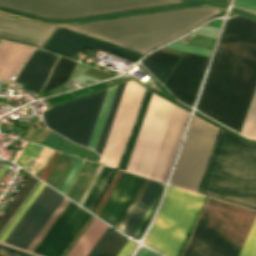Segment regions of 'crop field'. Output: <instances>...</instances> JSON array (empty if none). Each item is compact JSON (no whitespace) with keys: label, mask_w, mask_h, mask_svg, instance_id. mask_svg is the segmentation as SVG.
I'll list each match as a JSON object with an SVG mask.
<instances>
[{"label":"crop field","mask_w":256,"mask_h":256,"mask_svg":"<svg viewBox=\"0 0 256 256\" xmlns=\"http://www.w3.org/2000/svg\"><path fill=\"white\" fill-rule=\"evenodd\" d=\"M218 12L201 7L71 26H46L0 14V37L42 47L56 27H65L145 54Z\"/></svg>","instance_id":"crop-field-1"},{"label":"crop field","mask_w":256,"mask_h":256,"mask_svg":"<svg viewBox=\"0 0 256 256\" xmlns=\"http://www.w3.org/2000/svg\"><path fill=\"white\" fill-rule=\"evenodd\" d=\"M255 82L256 21L236 16L227 21L197 108L239 131Z\"/></svg>","instance_id":"crop-field-2"},{"label":"crop field","mask_w":256,"mask_h":256,"mask_svg":"<svg viewBox=\"0 0 256 256\" xmlns=\"http://www.w3.org/2000/svg\"><path fill=\"white\" fill-rule=\"evenodd\" d=\"M200 193L256 210V146L221 131Z\"/></svg>","instance_id":"crop-field-3"},{"label":"crop field","mask_w":256,"mask_h":256,"mask_svg":"<svg viewBox=\"0 0 256 256\" xmlns=\"http://www.w3.org/2000/svg\"><path fill=\"white\" fill-rule=\"evenodd\" d=\"M256 212L209 199L182 256H237Z\"/></svg>","instance_id":"crop-field-4"},{"label":"crop field","mask_w":256,"mask_h":256,"mask_svg":"<svg viewBox=\"0 0 256 256\" xmlns=\"http://www.w3.org/2000/svg\"><path fill=\"white\" fill-rule=\"evenodd\" d=\"M205 198L170 187L144 244L168 256H178Z\"/></svg>","instance_id":"crop-field-5"},{"label":"crop field","mask_w":256,"mask_h":256,"mask_svg":"<svg viewBox=\"0 0 256 256\" xmlns=\"http://www.w3.org/2000/svg\"><path fill=\"white\" fill-rule=\"evenodd\" d=\"M184 2L182 0H0V5L49 18H73Z\"/></svg>","instance_id":"crop-field-6"},{"label":"crop field","mask_w":256,"mask_h":256,"mask_svg":"<svg viewBox=\"0 0 256 256\" xmlns=\"http://www.w3.org/2000/svg\"><path fill=\"white\" fill-rule=\"evenodd\" d=\"M219 128L193 117L172 184L197 191Z\"/></svg>","instance_id":"crop-field-7"},{"label":"crop field","mask_w":256,"mask_h":256,"mask_svg":"<svg viewBox=\"0 0 256 256\" xmlns=\"http://www.w3.org/2000/svg\"><path fill=\"white\" fill-rule=\"evenodd\" d=\"M134 81V80H133ZM126 83L102 156L108 165L119 167L145 88Z\"/></svg>","instance_id":"crop-field-8"},{"label":"crop field","mask_w":256,"mask_h":256,"mask_svg":"<svg viewBox=\"0 0 256 256\" xmlns=\"http://www.w3.org/2000/svg\"><path fill=\"white\" fill-rule=\"evenodd\" d=\"M100 92L46 110L43 113L45 123L67 138L83 144Z\"/></svg>","instance_id":"crop-field-9"},{"label":"crop field","mask_w":256,"mask_h":256,"mask_svg":"<svg viewBox=\"0 0 256 256\" xmlns=\"http://www.w3.org/2000/svg\"><path fill=\"white\" fill-rule=\"evenodd\" d=\"M63 198L45 185L5 242L27 249Z\"/></svg>","instance_id":"crop-field-10"},{"label":"crop field","mask_w":256,"mask_h":256,"mask_svg":"<svg viewBox=\"0 0 256 256\" xmlns=\"http://www.w3.org/2000/svg\"><path fill=\"white\" fill-rule=\"evenodd\" d=\"M208 58L184 53L164 86L180 101L192 105Z\"/></svg>","instance_id":"crop-field-11"},{"label":"crop field","mask_w":256,"mask_h":256,"mask_svg":"<svg viewBox=\"0 0 256 256\" xmlns=\"http://www.w3.org/2000/svg\"><path fill=\"white\" fill-rule=\"evenodd\" d=\"M174 104L159 98L134 173L149 176Z\"/></svg>","instance_id":"crop-field-12"},{"label":"crop field","mask_w":256,"mask_h":256,"mask_svg":"<svg viewBox=\"0 0 256 256\" xmlns=\"http://www.w3.org/2000/svg\"><path fill=\"white\" fill-rule=\"evenodd\" d=\"M87 47L91 49H101L114 52L130 60H136L141 55L102 43L100 41L64 30H58L45 48L73 57L77 51L82 52Z\"/></svg>","instance_id":"crop-field-13"},{"label":"crop field","mask_w":256,"mask_h":256,"mask_svg":"<svg viewBox=\"0 0 256 256\" xmlns=\"http://www.w3.org/2000/svg\"><path fill=\"white\" fill-rule=\"evenodd\" d=\"M143 177L123 172L99 217L117 227Z\"/></svg>","instance_id":"crop-field-14"},{"label":"crop field","mask_w":256,"mask_h":256,"mask_svg":"<svg viewBox=\"0 0 256 256\" xmlns=\"http://www.w3.org/2000/svg\"><path fill=\"white\" fill-rule=\"evenodd\" d=\"M57 55L36 49L20 71L15 83H25L24 89L40 91Z\"/></svg>","instance_id":"crop-field-15"},{"label":"crop field","mask_w":256,"mask_h":256,"mask_svg":"<svg viewBox=\"0 0 256 256\" xmlns=\"http://www.w3.org/2000/svg\"><path fill=\"white\" fill-rule=\"evenodd\" d=\"M35 48L2 40L0 43V78L15 81Z\"/></svg>","instance_id":"crop-field-16"},{"label":"crop field","mask_w":256,"mask_h":256,"mask_svg":"<svg viewBox=\"0 0 256 256\" xmlns=\"http://www.w3.org/2000/svg\"><path fill=\"white\" fill-rule=\"evenodd\" d=\"M185 110L174 106L168 126L166 128L163 140L161 142L158 154L156 156L153 168L150 173V178L161 180L168 157L170 155L175 137L177 135L181 120Z\"/></svg>","instance_id":"crop-field-17"},{"label":"crop field","mask_w":256,"mask_h":256,"mask_svg":"<svg viewBox=\"0 0 256 256\" xmlns=\"http://www.w3.org/2000/svg\"><path fill=\"white\" fill-rule=\"evenodd\" d=\"M89 214L90 213L77 206L46 249L43 251L42 255L59 256Z\"/></svg>","instance_id":"crop-field-18"},{"label":"crop field","mask_w":256,"mask_h":256,"mask_svg":"<svg viewBox=\"0 0 256 256\" xmlns=\"http://www.w3.org/2000/svg\"><path fill=\"white\" fill-rule=\"evenodd\" d=\"M107 226L94 218L66 256H86Z\"/></svg>","instance_id":"crop-field-19"},{"label":"crop field","mask_w":256,"mask_h":256,"mask_svg":"<svg viewBox=\"0 0 256 256\" xmlns=\"http://www.w3.org/2000/svg\"><path fill=\"white\" fill-rule=\"evenodd\" d=\"M159 185L160 182L150 180L145 192L143 193L138 205L136 206L131 218L129 219L123 231L124 233L132 236L135 228L137 227L140 219L142 218Z\"/></svg>","instance_id":"crop-field-20"},{"label":"crop field","mask_w":256,"mask_h":256,"mask_svg":"<svg viewBox=\"0 0 256 256\" xmlns=\"http://www.w3.org/2000/svg\"><path fill=\"white\" fill-rule=\"evenodd\" d=\"M158 98H159V96H157L155 94H152L149 106L147 108V111H146L141 129H140V132L138 134V137H137V140H136V143H135L132 155H131V158L129 160V163H128V166H127V169H126L127 171H131V172L133 171L134 165L136 163L139 151L141 149V146H142L145 134L147 132L150 120L152 118L155 106L157 104Z\"/></svg>","instance_id":"crop-field-21"},{"label":"crop field","mask_w":256,"mask_h":256,"mask_svg":"<svg viewBox=\"0 0 256 256\" xmlns=\"http://www.w3.org/2000/svg\"><path fill=\"white\" fill-rule=\"evenodd\" d=\"M125 83L119 84L117 86V89H116V92H115V95H114V98H113L108 116L106 118L103 130H102V133H101L98 145H97L96 151L99 152L100 154H102V151H103V148H104V145H105V142H106V139H107V136H108L113 118L115 116V113H116V110H117V107H118V104H119V101H120Z\"/></svg>","instance_id":"crop-field-22"},{"label":"crop field","mask_w":256,"mask_h":256,"mask_svg":"<svg viewBox=\"0 0 256 256\" xmlns=\"http://www.w3.org/2000/svg\"><path fill=\"white\" fill-rule=\"evenodd\" d=\"M76 206L77 205L70 201L64 211L61 213V215L58 217V219L55 221V223L37 245V247L34 249V252H37L39 254L42 253V251L45 249V247L48 245V243L51 241V239L54 237V235L57 233V231L60 229V227L63 225V223L66 221V219L69 217V215L72 213Z\"/></svg>","instance_id":"crop-field-23"},{"label":"crop field","mask_w":256,"mask_h":256,"mask_svg":"<svg viewBox=\"0 0 256 256\" xmlns=\"http://www.w3.org/2000/svg\"><path fill=\"white\" fill-rule=\"evenodd\" d=\"M116 86L111 87L107 90V93H106V96H105V99H104L99 117L97 119L94 131H93V134H92L89 146H88L89 148H93V149L96 148V145H97V142H98V139H99V136H100V133H101L106 115L108 113V110H109V107H110V104H111Z\"/></svg>","instance_id":"crop-field-24"},{"label":"crop field","mask_w":256,"mask_h":256,"mask_svg":"<svg viewBox=\"0 0 256 256\" xmlns=\"http://www.w3.org/2000/svg\"><path fill=\"white\" fill-rule=\"evenodd\" d=\"M37 182V179L30 176L29 180L24 184L20 192L17 194V196L12 200L9 207L3 212V214L0 216V231L4 227V225L7 223V221L10 219L12 214L15 212V210L18 208V206L21 204L23 199L26 197V195L29 193L31 188L34 186V184Z\"/></svg>","instance_id":"crop-field-25"},{"label":"crop field","mask_w":256,"mask_h":256,"mask_svg":"<svg viewBox=\"0 0 256 256\" xmlns=\"http://www.w3.org/2000/svg\"><path fill=\"white\" fill-rule=\"evenodd\" d=\"M63 138L64 137H62V136H60V135H58V134H56V133L51 131L50 134L47 136V138L44 140L43 144H46V145H49V146H52V147L56 148V146L61 142V140ZM61 144L68 145V146H71V147H74V148H77V149H80V150H83V151H87V152L96 154L94 151H90L88 149L80 147V146L70 142L67 139L66 140L63 139ZM60 145H58L57 149H60V150H63V151L69 152V153L81 155V156H84V157H88V158H90L92 160L95 157L94 155H90V154H87V153H84V152H80V151H77V150H74V149H70V148H67V147H64V146H60Z\"/></svg>","instance_id":"crop-field-26"},{"label":"crop field","mask_w":256,"mask_h":256,"mask_svg":"<svg viewBox=\"0 0 256 256\" xmlns=\"http://www.w3.org/2000/svg\"><path fill=\"white\" fill-rule=\"evenodd\" d=\"M75 61H72L67 58H61L46 90L48 91L49 89L55 87L56 85L66 81L75 65Z\"/></svg>","instance_id":"crop-field-27"},{"label":"crop field","mask_w":256,"mask_h":256,"mask_svg":"<svg viewBox=\"0 0 256 256\" xmlns=\"http://www.w3.org/2000/svg\"><path fill=\"white\" fill-rule=\"evenodd\" d=\"M151 94H152V92L147 91V94H146V97H145V99H144V102H143L141 111H140V113H139V116H138V119H137L135 128H134V130H133V133H132V136H131L129 145H128V147H127V150H126L124 159H123L122 164H121V167H120V168L123 169V170L126 169V166H127L129 157H130V155H131V152H132V149H133V146H134V143H135V140H136L138 131H139V129H140V126H141V123H142V120H143V117H144V114H145L147 105H148V103H149Z\"/></svg>","instance_id":"crop-field-28"},{"label":"crop field","mask_w":256,"mask_h":256,"mask_svg":"<svg viewBox=\"0 0 256 256\" xmlns=\"http://www.w3.org/2000/svg\"><path fill=\"white\" fill-rule=\"evenodd\" d=\"M127 240V238L115 231L97 256H116Z\"/></svg>","instance_id":"crop-field-29"},{"label":"crop field","mask_w":256,"mask_h":256,"mask_svg":"<svg viewBox=\"0 0 256 256\" xmlns=\"http://www.w3.org/2000/svg\"><path fill=\"white\" fill-rule=\"evenodd\" d=\"M69 203V200L65 199L61 202V204L58 206L56 211L53 213V215L50 217V219L47 221L45 226L42 228V230L39 232L37 237L34 239V241L31 243V245L28 247V250L33 251V249L36 247V245L39 243V241L42 239V237L45 235V233L48 231V229L51 227V225L54 223V221L57 219V217L60 215V213L63 211V209L66 207V205Z\"/></svg>","instance_id":"crop-field-30"},{"label":"crop field","mask_w":256,"mask_h":256,"mask_svg":"<svg viewBox=\"0 0 256 256\" xmlns=\"http://www.w3.org/2000/svg\"><path fill=\"white\" fill-rule=\"evenodd\" d=\"M255 120H256V90L252 98L249 110L247 112V115L240 133L247 137H250Z\"/></svg>","instance_id":"crop-field-31"},{"label":"crop field","mask_w":256,"mask_h":256,"mask_svg":"<svg viewBox=\"0 0 256 256\" xmlns=\"http://www.w3.org/2000/svg\"><path fill=\"white\" fill-rule=\"evenodd\" d=\"M188 115H189V113L185 112L184 118L182 120V123H181L180 129H179L178 135L176 137V140H175V143H174L171 155L169 157V160H168V163H167V166H166V169H165V172L163 174V177H162L161 181H165V182L167 181V178H168V175H169V172H170L173 160L175 158L177 149L179 147V144H180V141H181V138H182V134H183L186 122H187Z\"/></svg>","instance_id":"crop-field-32"},{"label":"crop field","mask_w":256,"mask_h":256,"mask_svg":"<svg viewBox=\"0 0 256 256\" xmlns=\"http://www.w3.org/2000/svg\"><path fill=\"white\" fill-rule=\"evenodd\" d=\"M144 179H146V178H144ZM148 182H149V179L143 180L141 186L139 187L137 193L135 194V196H134L132 202L130 203V205H129L127 211L125 212L123 218L121 219V221H120V223H119V225H118V227H117V228H119L120 230L123 231V229H124V227H125V225H126L128 219L130 218V216H131V214H132V212H133L135 206L137 205V203H138V201H139V199H140L142 193L144 192V190H145V188H146Z\"/></svg>","instance_id":"crop-field-33"},{"label":"crop field","mask_w":256,"mask_h":256,"mask_svg":"<svg viewBox=\"0 0 256 256\" xmlns=\"http://www.w3.org/2000/svg\"><path fill=\"white\" fill-rule=\"evenodd\" d=\"M161 187H162V185H160V187H159L157 193L155 194V196H154L152 202L150 203V205H149L147 211L145 212L143 218L141 219V221H140L138 227L136 228V230H135V232H134V234H133V237H135V238H140V236H141V234H142V232H143V230H144V228H145V226H146V224H147V222H148V220H149V218H150V216H151V214H152V212H153V210H154V207H155V205H156V203H157V200H158V198H159V195H160V193H161V191H162ZM155 208H156V207H155ZM153 213H154V212H153ZM152 215H153V214H152ZM151 217H152V216H151ZM150 219H151V218H150ZM149 221H150V220H149ZM148 223H149V222H148ZM147 225H148V224H147ZM146 227H147V226H146Z\"/></svg>","instance_id":"crop-field-34"},{"label":"crop field","mask_w":256,"mask_h":256,"mask_svg":"<svg viewBox=\"0 0 256 256\" xmlns=\"http://www.w3.org/2000/svg\"><path fill=\"white\" fill-rule=\"evenodd\" d=\"M239 256H256V220Z\"/></svg>","instance_id":"crop-field-35"},{"label":"crop field","mask_w":256,"mask_h":256,"mask_svg":"<svg viewBox=\"0 0 256 256\" xmlns=\"http://www.w3.org/2000/svg\"><path fill=\"white\" fill-rule=\"evenodd\" d=\"M179 58H180L179 56L156 51L151 55H149L147 58H145V60H149V61L174 67Z\"/></svg>","instance_id":"crop-field-36"},{"label":"crop field","mask_w":256,"mask_h":256,"mask_svg":"<svg viewBox=\"0 0 256 256\" xmlns=\"http://www.w3.org/2000/svg\"><path fill=\"white\" fill-rule=\"evenodd\" d=\"M144 66L152 73L154 74L161 83L164 81V79L167 77L168 73L173 69L172 67L148 62V61H142Z\"/></svg>","instance_id":"crop-field-37"},{"label":"crop field","mask_w":256,"mask_h":256,"mask_svg":"<svg viewBox=\"0 0 256 256\" xmlns=\"http://www.w3.org/2000/svg\"><path fill=\"white\" fill-rule=\"evenodd\" d=\"M42 182L38 180V182L35 184V186L32 188L30 193L27 195V197L24 199L22 204L19 206V208L16 210V212L13 214L11 219L8 221V223L5 225L3 230L0 232V238L3 236V234L6 232V230L9 228V226L12 224V222L15 220V218L18 216L20 211L23 209V207L26 205V203L29 201V199L32 197V195L35 193V191L38 189Z\"/></svg>","instance_id":"crop-field-38"},{"label":"crop field","mask_w":256,"mask_h":256,"mask_svg":"<svg viewBox=\"0 0 256 256\" xmlns=\"http://www.w3.org/2000/svg\"><path fill=\"white\" fill-rule=\"evenodd\" d=\"M114 231L115 230H113L108 226V228L99 238V240L97 241V243L94 245V247L91 249V251L87 256H96L99 253V251L102 249V247L105 245V243L108 241V239L111 237V235L114 233Z\"/></svg>","instance_id":"crop-field-39"},{"label":"crop field","mask_w":256,"mask_h":256,"mask_svg":"<svg viewBox=\"0 0 256 256\" xmlns=\"http://www.w3.org/2000/svg\"><path fill=\"white\" fill-rule=\"evenodd\" d=\"M108 170H109V167L104 166V168H103L102 172L100 173L98 179L96 180L94 186L92 187V189H91V191L89 192L87 198L85 199V201H84V203H83V206H85V207L88 208V206H89L91 200L93 199L95 193L97 192V190H98L100 184L102 183L104 177L106 176ZM87 208H86V209H87Z\"/></svg>","instance_id":"crop-field-40"},{"label":"crop field","mask_w":256,"mask_h":256,"mask_svg":"<svg viewBox=\"0 0 256 256\" xmlns=\"http://www.w3.org/2000/svg\"><path fill=\"white\" fill-rule=\"evenodd\" d=\"M106 90H107V89H106ZM106 90H103V91L101 92V95H100L98 104H97V106H96V109H95V112H94V115H93V118H92V121H91L89 130H88V132H87V135H86V138H85V141H84V144H83V145L86 146V147L88 146V143H89V140H90V137H91V134H92V131H93V128H94L96 119H97V117H98V114H99V111H100V108H101V105H102V102H103V99H104Z\"/></svg>","instance_id":"crop-field-41"},{"label":"crop field","mask_w":256,"mask_h":256,"mask_svg":"<svg viewBox=\"0 0 256 256\" xmlns=\"http://www.w3.org/2000/svg\"><path fill=\"white\" fill-rule=\"evenodd\" d=\"M114 171H115V169L110 168V170H109L107 176L105 177V179H104L103 183L101 184V186H100L98 192L96 193L94 199L92 200V202H91V204H90V206H89V208H88V209L91 210L92 212H93V210H94V208H95L97 202L99 201V199H100V197H101L103 191L105 190V188H106V186H107L109 180L111 179V177H112Z\"/></svg>","instance_id":"crop-field-42"},{"label":"crop field","mask_w":256,"mask_h":256,"mask_svg":"<svg viewBox=\"0 0 256 256\" xmlns=\"http://www.w3.org/2000/svg\"><path fill=\"white\" fill-rule=\"evenodd\" d=\"M51 130H48V129H46V130H44L43 132H41V131H39V130H37V129H34V128H29L28 129V131H27V133H26V135H25V137L26 138H30V139H32V140H35V141H38V142H42L43 141V139L48 135V133L50 132ZM26 138H24V139H26ZM30 139H26V140H30ZM32 140H30V141H32Z\"/></svg>","instance_id":"crop-field-43"},{"label":"crop field","mask_w":256,"mask_h":256,"mask_svg":"<svg viewBox=\"0 0 256 256\" xmlns=\"http://www.w3.org/2000/svg\"><path fill=\"white\" fill-rule=\"evenodd\" d=\"M38 148V145H34V144H29V146L27 147L24 155L22 156L20 163L24 164L23 167H25L27 169L30 161L32 160V157L34 155V153L36 152Z\"/></svg>","instance_id":"crop-field-44"},{"label":"crop field","mask_w":256,"mask_h":256,"mask_svg":"<svg viewBox=\"0 0 256 256\" xmlns=\"http://www.w3.org/2000/svg\"><path fill=\"white\" fill-rule=\"evenodd\" d=\"M167 47L168 48L179 49V50L190 51V52L199 53V54L208 55V56L210 55V52H211L209 50L195 48V47L186 46V45H181V44H177V43H173V44H171Z\"/></svg>","instance_id":"crop-field-45"},{"label":"crop field","mask_w":256,"mask_h":256,"mask_svg":"<svg viewBox=\"0 0 256 256\" xmlns=\"http://www.w3.org/2000/svg\"><path fill=\"white\" fill-rule=\"evenodd\" d=\"M41 185V184H40ZM45 184L42 183V185L39 187V189L36 191V193L33 195V197L30 199V201L27 203V205L24 207L22 212L19 214V216L16 218V220L13 222V224L10 226V228L7 230V232L4 234V236L1 238L2 241L7 237V235L10 233V231L13 229V227L16 225L18 220L21 218V216L24 214V212L27 210V208L30 206L32 201L35 199V197L38 195V193L41 191V189L44 187ZM37 198V197H36ZM34 202V201H33ZM20 221V220H19Z\"/></svg>","instance_id":"crop-field-46"},{"label":"crop field","mask_w":256,"mask_h":256,"mask_svg":"<svg viewBox=\"0 0 256 256\" xmlns=\"http://www.w3.org/2000/svg\"><path fill=\"white\" fill-rule=\"evenodd\" d=\"M0 256H32L0 244Z\"/></svg>","instance_id":"crop-field-47"},{"label":"crop field","mask_w":256,"mask_h":256,"mask_svg":"<svg viewBox=\"0 0 256 256\" xmlns=\"http://www.w3.org/2000/svg\"><path fill=\"white\" fill-rule=\"evenodd\" d=\"M82 161H83V159L78 158V160H77V162H76V164H75V166H74V168H73L71 174L69 175V177H68V179H67V181H66V183H65V185H64V187H63V189L61 188L62 191H61V190H60V191L63 192L64 194H65V192H66L68 186L70 185V183H71L73 177L75 176V174H76L78 168L80 167Z\"/></svg>","instance_id":"crop-field-48"},{"label":"crop field","mask_w":256,"mask_h":256,"mask_svg":"<svg viewBox=\"0 0 256 256\" xmlns=\"http://www.w3.org/2000/svg\"><path fill=\"white\" fill-rule=\"evenodd\" d=\"M235 4L245 9L256 11V0H236Z\"/></svg>","instance_id":"crop-field-49"},{"label":"crop field","mask_w":256,"mask_h":256,"mask_svg":"<svg viewBox=\"0 0 256 256\" xmlns=\"http://www.w3.org/2000/svg\"><path fill=\"white\" fill-rule=\"evenodd\" d=\"M135 244L128 240L122 250L117 256H129L134 248Z\"/></svg>","instance_id":"crop-field-50"},{"label":"crop field","mask_w":256,"mask_h":256,"mask_svg":"<svg viewBox=\"0 0 256 256\" xmlns=\"http://www.w3.org/2000/svg\"><path fill=\"white\" fill-rule=\"evenodd\" d=\"M136 256H159L143 247H141L138 251V253L136 254Z\"/></svg>","instance_id":"crop-field-51"},{"label":"crop field","mask_w":256,"mask_h":256,"mask_svg":"<svg viewBox=\"0 0 256 256\" xmlns=\"http://www.w3.org/2000/svg\"><path fill=\"white\" fill-rule=\"evenodd\" d=\"M81 169H79V171H78V173H77V175L75 176V178H74V180H73V182L71 183V185H70V187L68 188V190H67V192H66V195L68 196V194H69V192H70V190H71V188H72V186L74 185V183H75V181H76V179H77V177L79 176V174L81 173Z\"/></svg>","instance_id":"crop-field-52"},{"label":"crop field","mask_w":256,"mask_h":256,"mask_svg":"<svg viewBox=\"0 0 256 256\" xmlns=\"http://www.w3.org/2000/svg\"><path fill=\"white\" fill-rule=\"evenodd\" d=\"M8 166H9V164L4 163L3 167L0 170V178L2 177V175L4 174V172L6 171Z\"/></svg>","instance_id":"crop-field-53"},{"label":"crop field","mask_w":256,"mask_h":256,"mask_svg":"<svg viewBox=\"0 0 256 256\" xmlns=\"http://www.w3.org/2000/svg\"><path fill=\"white\" fill-rule=\"evenodd\" d=\"M250 138H256V123Z\"/></svg>","instance_id":"crop-field-54"},{"label":"crop field","mask_w":256,"mask_h":256,"mask_svg":"<svg viewBox=\"0 0 256 256\" xmlns=\"http://www.w3.org/2000/svg\"><path fill=\"white\" fill-rule=\"evenodd\" d=\"M41 149H42V147L41 146H39V148H38V150H37V152H36V154H35V158H37V156H38V154H39V152L41 151Z\"/></svg>","instance_id":"crop-field-55"},{"label":"crop field","mask_w":256,"mask_h":256,"mask_svg":"<svg viewBox=\"0 0 256 256\" xmlns=\"http://www.w3.org/2000/svg\"><path fill=\"white\" fill-rule=\"evenodd\" d=\"M215 1L223 2V3H227L228 2V0H215Z\"/></svg>","instance_id":"crop-field-56"},{"label":"crop field","mask_w":256,"mask_h":256,"mask_svg":"<svg viewBox=\"0 0 256 256\" xmlns=\"http://www.w3.org/2000/svg\"><path fill=\"white\" fill-rule=\"evenodd\" d=\"M25 149H26V146L24 147L22 153L20 154V156H19V158H18V161H19L20 157L22 156L23 152L25 151Z\"/></svg>","instance_id":"crop-field-57"}]
</instances>
